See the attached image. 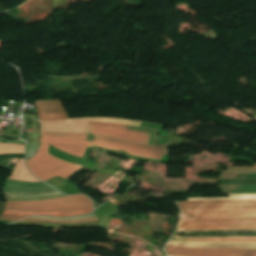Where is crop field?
Instances as JSON below:
<instances>
[{
	"instance_id": "crop-field-1",
	"label": "crop field",
	"mask_w": 256,
	"mask_h": 256,
	"mask_svg": "<svg viewBox=\"0 0 256 256\" xmlns=\"http://www.w3.org/2000/svg\"><path fill=\"white\" fill-rule=\"evenodd\" d=\"M181 216L176 230L256 229V200L176 202Z\"/></svg>"
},
{
	"instance_id": "crop-field-2",
	"label": "crop field",
	"mask_w": 256,
	"mask_h": 256,
	"mask_svg": "<svg viewBox=\"0 0 256 256\" xmlns=\"http://www.w3.org/2000/svg\"><path fill=\"white\" fill-rule=\"evenodd\" d=\"M89 122L66 125L63 121L42 122L41 131L64 132V133H87ZM126 126L117 124H107L99 122H90L89 132L122 139H128L139 142H148L150 134L125 130Z\"/></svg>"
},
{
	"instance_id": "crop-field-3",
	"label": "crop field",
	"mask_w": 256,
	"mask_h": 256,
	"mask_svg": "<svg viewBox=\"0 0 256 256\" xmlns=\"http://www.w3.org/2000/svg\"><path fill=\"white\" fill-rule=\"evenodd\" d=\"M86 207H92V201L83 195H74L47 201H7L5 209L30 212H49L68 211Z\"/></svg>"
},
{
	"instance_id": "crop-field-4",
	"label": "crop field",
	"mask_w": 256,
	"mask_h": 256,
	"mask_svg": "<svg viewBox=\"0 0 256 256\" xmlns=\"http://www.w3.org/2000/svg\"><path fill=\"white\" fill-rule=\"evenodd\" d=\"M6 200H47L66 196L46 183L7 180L4 188Z\"/></svg>"
},
{
	"instance_id": "crop-field-5",
	"label": "crop field",
	"mask_w": 256,
	"mask_h": 256,
	"mask_svg": "<svg viewBox=\"0 0 256 256\" xmlns=\"http://www.w3.org/2000/svg\"><path fill=\"white\" fill-rule=\"evenodd\" d=\"M41 142L45 143H66V144H76V145H84V146H98L102 148L112 149V150H124L130 155L152 158L161 160L163 155H168L169 153L166 152H158V151H151L139 148L128 147L124 145L109 143L105 141H100L94 139L92 142H87L83 140L77 139H70V138H61V137H49V136H42Z\"/></svg>"
},
{
	"instance_id": "crop-field-6",
	"label": "crop field",
	"mask_w": 256,
	"mask_h": 256,
	"mask_svg": "<svg viewBox=\"0 0 256 256\" xmlns=\"http://www.w3.org/2000/svg\"><path fill=\"white\" fill-rule=\"evenodd\" d=\"M167 255L176 256H256V249L183 248L166 246Z\"/></svg>"
},
{
	"instance_id": "crop-field-7",
	"label": "crop field",
	"mask_w": 256,
	"mask_h": 256,
	"mask_svg": "<svg viewBox=\"0 0 256 256\" xmlns=\"http://www.w3.org/2000/svg\"><path fill=\"white\" fill-rule=\"evenodd\" d=\"M48 146L41 144L37 154L26 161L31 173L38 178L72 164L50 156L47 151Z\"/></svg>"
},
{
	"instance_id": "crop-field-8",
	"label": "crop field",
	"mask_w": 256,
	"mask_h": 256,
	"mask_svg": "<svg viewBox=\"0 0 256 256\" xmlns=\"http://www.w3.org/2000/svg\"><path fill=\"white\" fill-rule=\"evenodd\" d=\"M35 105L40 120H60L68 118L60 100L36 101Z\"/></svg>"
},
{
	"instance_id": "crop-field-9",
	"label": "crop field",
	"mask_w": 256,
	"mask_h": 256,
	"mask_svg": "<svg viewBox=\"0 0 256 256\" xmlns=\"http://www.w3.org/2000/svg\"><path fill=\"white\" fill-rule=\"evenodd\" d=\"M93 208H86L77 211L70 212H56V213H29V212H17V211H7L4 210L1 217L2 219L16 221L25 216H33V215H52V216H72V215H83L91 212Z\"/></svg>"
},
{
	"instance_id": "crop-field-10",
	"label": "crop field",
	"mask_w": 256,
	"mask_h": 256,
	"mask_svg": "<svg viewBox=\"0 0 256 256\" xmlns=\"http://www.w3.org/2000/svg\"><path fill=\"white\" fill-rule=\"evenodd\" d=\"M170 241V240H169ZM171 241L179 242H255L256 238H195V237H172Z\"/></svg>"
},
{
	"instance_id": "crop-field-11",
	"label": "crop field",
	"mask_w": 256,
	"mask_h": 256,
	"mask_svg": "<svg viewBox=\"0 0 256 256\" xmlns=\"http://www.w3.org/2000/svg\"><path fill=\"white\" fill-rule=\"evenodd\" d=\"M168 245L183 247H248L256 248V244L249 243H178L169 242Z\"/></svg>"
},
{
	"instance_id": "crop-field-12",
	"label": "crop field",
	"mask_w": 256,
	"mask_h": 256,
	"mask_svg": "<svg viewBox=\"0 0 256 256\" xmlns=\"http://www.w3.org/2000/svg\"><path fill=\"white\" fill-rule=\"evenodd\" d=\"M9 179L40 182L28 172L24 165V160H19Z\"/></svg>"
},
{
	"instance_id": "crop-field-13",
	"label": "crop field",
	"mask_w": 256,
	"mask_h": 256,
	"mask_svg": "<svg viewBox=\"0 0 256 256\" xmlns=\"http://www.w3.org/2000/svg\"><path fill=\"white\" fill-rule=\"evenodd\" d=\"M84 121H100V122L117 123V124H129V125H136V126H139L141 123L137 121L120 120V119H104V118H84V119L66 120L67 124L84 122Z\"/></svg>"
},
{
	"instance_id": "crop-field-14",
	"label": "crop field",
	"mask_w": 256,
	"mask_h": 256,
	"mask_svg": "<svg viewBox=\"0 0 256 256\" xmlns=\"http://www.w3.org/2000/svg\"><path fill=\"white\" fill-rule=\"evenodd\" d=\"M83 166H80V165H75V164H72L66 168H63L59 171H56L50 175H47L43 178H41L42 180L46 181L56 175L60 176V177H63V178H69L71 177L73 174H75L79 169H81Z\"/></svg>"
},
{
	"instance_id": "crop-field-15",
	"label": "crop field",
	"mask_w": 256,
	"mask_h": 256,
	"mask_svg": "<svg viewBox=\"0 0 256 256\" xmlns=\"http://www.w3.org/2000/svg\"><path fill=\"white\" fill-rule=\"evenodd\" d=\"M52 146L65 151L71 155L82 157L86 148L84 146H76V145H63V144H51Z\"/></svg>"
},
{
	"instance_id": "crop-field-16",
	"label": "crop field",
	"mask_w": 256,
	"mask_h": 256,
	"mask_svg": "<svg viewBox=\"0 0 256 256\" xmlns=\"http://www.w3.org/2000/svg\"><path fill=\"white\" fill-rule=\"evenodd\" d=\"M95 138L101 139V140H105V141H109V142L120 143V144L135 146V147H140V148H146V149H152V150L169 152L167 148L153 147V146H148V145H143V144H138V143H133V142H128V141H122V140H116V139L105 138V137H98V136H95Z\"/></svg>"
},
{
	"instance_id": "crop-field-17",
	"label": "crop field",
	"mask_w": 256,
	"mask_h": 256,
	"mask_svg": "<svg viewBox=\"0 0 256 256\" xmlns=\"http://www.w3.org/2000/svg\"><path fill=\"white\" fill-rule=\"evenodd\" d=\"M1 154H24V145L0 143Z\"/></svg>"
},
{
	"instance_id": "crop-field-18",
	"label": "crop field",
	"mask_w": 256,
	"mask_h": 256,
	"mask_svg": "<svg viewBox=\"0 0 256 256\" xmlns=\"http://www.w3.org/2000/svg\"><path fill=\"white\" fill-rule=\"evenodd\" d=\"M40 144H35L26 141L25 153H26V160L34 156L38 150Z\"/></svg>"
},
{
	"instance_id": "crop-field-19",
	"label": "crop field",
	"mask_w": 256,
	"mask_h": 256,
	"mask_svg": "<svg viewBox=\"0 0 256 256\" xmlns=\"http://www.w3.org/2000/svg\"><path fill=\"white\" fill-rule=\"evenodd\" d=\"M96 218L91 219H82V220H75V221H55V220H48V219H22L20 221H48V222H60V223H80L86 221H95Z\"/></svg>"
},
{
	"instance_id": "crop-field-20",
	"label": "crop field",
	"mask_w": 256,
	"mask_h": 256,
	"mask_svg": "<svg viewBox=\"0 0 256 256\" xmlns=\"http://www.w3.org/2000/svg\"><path fill=\"white\" fill-rule=\"evenodd\" d=\"M207 199H256V195H229V198H207ZM187 200H204V199H187Z\"/></svg>"
},
{
	"instance_id": "crop-field-21",
	"label": "crop field",
	"mask_w": 256,
	"mask_h": 256,
	"mask_svg": "<svg viewBox=\"0 0 256 256\" xmlns=\"http://www.w3.org/2000/svg\"><path fill=\"white\" fill-rule=\"evenodd\" d=\"M42 135H49V136H62V137H70V138H77L86 140L87 135L82 134H51V133H42Z\"/></svg>"
},
{
	"instance_id": "crop-field-22",
	"label": "crop field",
	"mask_w": 256,
	"mask_h": 256,
	"mask_svg": "<svg viewBox=\"0 0 256 256\" xmlns=\"http://www.w3.org/2000/svg\"><path fill=\"white\" fill-rule=\"evenodd\" d=\"M94 214H88V215H83V216H78V217H72V218H51V217H29V218H48V219H55V220H74V219H81V218H89L93 217Z\"/></svg>"
},
{
	"instance_id": "crop-field-23",
	"label": "crop field",
	"mask_w": 256,
	"mask_h": 256,
	"mask_svg": "<svg viewBox=\"0 0 256 256\" xmlns=\"http://www.w3.org/2000/svg\"><path fill=\"white\" fill-rule=\"evenodd\" d=\"M233 168H256V166H253V167H233Z\"/></svg>"
}]
</instances>
